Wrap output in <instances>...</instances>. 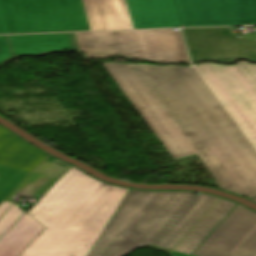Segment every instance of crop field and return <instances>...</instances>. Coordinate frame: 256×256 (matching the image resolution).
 Returning <instances> with one entry per match:
<instances>
[{
    "mask_svg": "<svg viewBox=\"0 0 256 256\" xmlns=\"http://www.w3.org/2000/svg\"><path fill=\"white\" fill-rule=\"evenodd\" d=\"M107 63L179 159H185L116 64L112 62L103 63L167 151L177 161L167 144L154 130L144 114L109 70ZM117 64L186 154L187 158L193 157V153L159 111L156 107L157 105L155 106L154 101L152 102L137 79L145 84L160 106L184 134L210 173L216 178L221 189L247 198L256 197V151L210 93L192 66L158 67L150 64Z\"/></svg>",
    "mask_w": 256,
    "mask_h": 256,
    "instance_id": "crop-field-1",
    "label": "crop field"
},
{
    "mask_svg": "<svg viewBox=\"0 0 256 256\" xmlns=\"http://www.w3.org/2000/svg\"><path fill=\"white\" fill-rule=\"evenodd\" d=\"M128 190L72 165L27 212L46 229L20 256H87Z\"/></svg>",
    "mask_w": 256,
    "mask_h": 256,
    "instance_id": "crop-field-2",
    "label": "crop field"
},
{
    "mask_svg": "<svg viewBox=\"0 0 256 256\" xmlns=\"http://www.w3.org/2000/svg\"><path fill=\"white\" fill-rule=\"evenodd\" d=\"M131 189L88 256H123L141 246L169 253L217 198Z\"/></svg>",
    "mask_w": 256,
    "mask_h": 256,
    "instance_id": "crop-field-3",
    "label": "crop field"
},
{
    "mask_svg": "<svg viewBox=\"0 0 256 256\" xmlns=\"http://www.w3.org/2000/svg\"><path fill=\"white\" fill-rule=\"evenodd\" d=\"M72 49L89 59L123 55L156 63H189L180 31H129L70 33Z\"/></svg>",
    "mask_w": 256,
    "mask_h": 256,
    "instance_id": "crop-field-4",
    "label": "crop field"
},
{
    "mask_svg": "<svg viewBox=\"0 0 256 256\" xmlns=\"http://www.w3.org/2000/svg\"><path fill=\"white\" fill-rule=\"evenodd\" d=\"M196 73L256 149V65L201 63Z\"/></svg>",
    "mask_w": 256,
    "mask_h": 256,
    "instance_id": "crop-field-5",
    "label": "crop field"
},
{
    "mask_svg": "<svg viewBox=\"0 0 256 256\" xmlns=\"http://www.w3.org/2000/svg\"><path fill=\"white\" fill-rule=\"evenodd\" d=\"M89 30L80 0H0V33Z\"/></svg>",
    "mask_w": 256,
    "mask_h": 256,
    "instance_id": "crop-field-6",
    "label": "crop field"
},
{
    "mask_svg": "<svg viewBox=\"0 0 256 256\" xmlns=\"http://www.w3.org/2000/svg\"><path fill=\"white\" fill-rule=\"evenodd\" d=\"M193 255L256 256V212L238 204Z\"/></svg>",
    "mask_w": 256,
    "mask_h": 256,
    "instance_id": "crop-field-7",
    "label": "crop field"
},
{
    "mask_svg": "<svg viewBox=\"0 0 256 256\" xmlns=\"http://www.w3.org/2000/svg\"><path fill=\"white\" fill-rule=\"evenodd\" d=\"M183 27L255 25L256 0H175Z\"/></svg>",
    "mask_w": 256,
    "mask_h": 256,
    "instance_id": "crop-field-8",
    "label": "crop field"
},
{
    "mask_svg": "<svg viewBox=\"0 0 256 256\" xmlns=\"http://www.w3.org/2000/svg\"><path fill=\"white\" fill-rule=\"evenodd\" d=\"M19 138L0 126V203L48 155Z\"/></svg>",
    "mask_w": 256,
    "mask_h": 256,
    "instance_id": "crop-field-9",
    "label": "crop field"
},
{
    "mask_svg": "<svg viewBox=\"0 0 256 256\" xmlns=\"http://www.w3.org/2000/svg\"><path fill=\"white\" fill-rule=\"evenodd\" d=\"M134 29L182 27L174 0H126Z\"/></svg>",
    "mask_w": 256,
    "mask_h": 256,
    "instance_id": "crop-field-10",
    "label": "crop field"
},
{
    "mask_svg": "<svg viewBox=\"0 0 256 256\" xmlns=\"http://www.w3.org/2000/svg\"><path fill=\"white\" fill-rule=\"evenodd\" d=\"M90 30L133 29L125 0H81Z\"/></svg>",
    "mask_w": 256,
    "mask_h": 256,
    "instance_id": "crop-field-11",
    "label": "crop field"
},
{
    "mask_svg": "<svg viewBox=\"0 0 256 256\" xmlns=\"http://www.w3.org/2000/svg\"><path fill=\"white\" fill-rule=\"evenodd\" d=\"M236 205L237 203L235 202L221 198L209 213L189 233V235L169 255L191 256Z\"/></svg>",
    "mask_w": 256,
    "mask_h": 256,
    "instance_id": "crop-field-12",
    "label": "crop field"
},
{
    "mask_svg": "<svg viewBox=\"0 0 256 256\" xmlns=\"http://www.w3.org/2000/svg\"><path fill=\"white\" fill-rule=\"evenodd\" d=\"M44 228L26 214L0 240V256H19Z\"/></svg>",
    "mask_w": 256,
    "mask_h": 256,
    "instance_id": "crop-field-13",
    "label": "crop field"
},
{
    "mask_svg": "<svg viewBox=\"0 0 256 256\" xmlns=\"http://www.w3.org/2000/svg\"><path fill=\"white\" fill-rule=\"evenodd\" d=\"M9 38L14 55L71 49L69 33L9 36Z\"/></svg>",
    "mask_w": 256,
    "mask_h": 256,
    "instance_id": "crop-field-14",
    "label": "crop field"
},
{
    "mask_svg": "<svg viewBox=\"0 0 256 256\" xmlns=\"http://www.w3.org/2000/svg\"><path fill=\"white\" fill-rule=\"evenodd\" d=\"M24 214L17 205L11 207L0 219V237Z\"/></svg>",
    "mask_w": 256,
    "mask_h": 256,
    "instance_id": "crop-field-15",
    "label": "crop field"
},
{
    "mask_svg": "<svg viewBox=\"0 0 256 256\" xmlns=\"http://www.w3.org/2000/svg\"><path fill=\"white\" fill-rule=\"evenodd\" d=\"M10 56L12 55L7 41V37L0 36V62Z\"/></svg>",
    "mask_w": 256,
    "mask_h": 256,
    "instance_id": "crop-field-16",
    "label": "crop field"
},
{
    "mask_svg": "<svg viewBox=\"0 0 256 256\" xmlns=\"http://www.w3.org/2000/svg\"><path fill=\"white\" fill-rule=\"evenodd\" d=\"M140 82V81H139ZM141 83V82H140ZM142 86L145 88V90L148 92L150 95L151 99L154 101V103L157 105V107L160 109V111L164 114V116L168 119V121L172 124V126L175 128V130L178 132L180 137L186 142V144L189 146V148L192 150V152L197 156L196 152L194 149L190 146V144L187 142V140L184 138V136L181 134V132L178 130V128L175 126V124L172 122V120L168 117V115L164 112V110L159 106V104L156 102V100L153 98V96L150 94V92L147 90V88L144 86L143 83H141Z\"/></svg>",
    "mask_w": 256,
    "mask_h": 256,
    "instance_id": "crop-field-17",
    "label": "crop field"
},
{
    "mask_svg": "<svg viewBox=\"0 0 256 256\" xmlns=\"http://www.w3.org/2000/svg\"><path fill=\"white\" fill-rule=\"evenodd\" d=\"M12 203L3 201L0 204V216L3 214V212L11 205Z\"/></svg>",
    "mask_w": 256,
    "mask_h": 256,
    "instance_id": "crop-field-18",
    "label": "crop field"
},
{
    "mask_svg": "<svg viewBox=\"0 0 256 256\" xmlns=\"http://www.w3.org/2000/svg\"><path fill=\"white\" fill-rule=\"evenodd\" d=\"M122 71V70H121ZM123 72V71H122ZM124 74V73H123ZM125 75V74H124ZM126 77V75H125ZM127 78V77H126ZM127 80L129 81V79L127 78ZM129 83L132 85V83L129 81ZM132 87L135 89V87L132 85ZM135 91L138 93V91L135 89ZM138 95L141 97V95L138 93ZM141 99L144 101V99L141 97ZM144 103L146 104V106L149 108V110L152 112V110L150 109V107L147 105V103L144 101ZM153 113V112H152ZM154 115V113H153ZM155 116V115H154ZM156 117V116H155ZM157 118V117H156ZM159 121V120H158ZM165 128V127H164ZM168 132V131H167ZM171 137V136H170ZM174 141V140H173ZM175 142V141H174ZM177 145V144H176ZM178 146V145H177ZM180 149V148H179ZM181 150V149H180ZM182 152V150H181ZM183 153V152H182ZM183 155L185 156V154L183 153ZM186 158V156H185Z\"/></svg>",
    "mask_w": 256,
    "mask_h": 256,
    "instance_id": "crop-field-19",
    "label": "crop field"
},
{
    "mask_svg": "<svg viewBox=\"0 0 256 256\" xmlns=\"http://www.w3.org/2000/svg\"><path fill=\"white\" fill-rule=\"evenodd\" d=\"M108 65V64H107ZM109 67V66H108ZM110 68V67H109ZM111 70V69H110ZM112 71V70H111ZM113 72V71H112ZM114 74V73H113ZM115 75V74H114ZM116 76V75H115ZM117 78V77H116ZM118 79V78H117ZM119 80V79H118ZM120 81V80H119ZM121 83V82H120ZM122 84V83H121ZM123 85V84H122ZM125 88V87H124ZM126 89V88H125ZM128 92V91H127ZM131 96V95H130ZM134 100V99H133ZM136 103V102H135ZM137 104V103H136ZM139 107V106H138ZM140 108V107H139ZM143 112V111H142ZM144 113V112H143ZM146 116V115H145ZM147 117V116H146ZM148 119V118H147ZM149 120V119H148ZM150 121V120H149ZM151 123V122H150ZM152 124V123H151ZM153 126V124H152ZM154 127V126H153ZM155 128V127H154ZM156 130V128H155ZM157 131V130H156ZM158 132V131H157ZM159 133V132H158ZM161 136V135H160ZM162 137V136H161ZM169 146V145H168ZM170 148V147H169ZM170 150L172 151V149L170 148ZM173 152V151H172ZM173 154L175 155V153L173 152ZM176 156V155H175ZM176 158L178 159V157L176 156Z\"/></svg>",
    "mask_w": 256,
    "mask_h": 256,
    "instance_id": "crop-field-20",
    "label": "crop field"
},
{
    "mask_svg": "<svg viewBox=\"0 0 256 256\" xmlns=\"http://www.w3.org/2000/svg\"><path fill=\"white\" fill-rule=\"evenodd\" d=\"M253 201H255V202H256V199H254Z\"/></svg>",
    "mask_w": 256,
    "mask_h": 256,
    "instance_id": "crop-field-21",
    "label": "crop field"
}]
</instances>
